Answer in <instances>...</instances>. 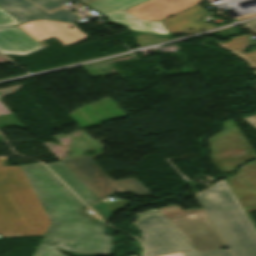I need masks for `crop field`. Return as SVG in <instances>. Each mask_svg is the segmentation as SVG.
Listing matches in <instances>:
<instances>
[{
  "instance_id": "obj_1",
  "label": "crop field",
  "mask_w": 256,
  "mask_h": 256,
  "mask_svg": "<svg viewBox=\"0 0 256 256\" xmlns=\"http://www.w3.org/2000/svg\"><path fill=\"white\" fill-rule=\"evenodd\" d=\"M30 181L51 225L33 256H65L57 246L84 254L110 255L111 236L104 223L85 207L43 164L20 166Z\"/></svg>"
},
{
  "instance_id": "obj_2",
  "label": "crop field",
  "mask_w": 256,
  "mask_h": 256,
  "mask_svg": "<svg viewBox=\"0 0 256 256\" xmlns=\"http://www.w3.org/2000/svg\"><path fill=\"white\" fill-rule=\"evenodd\" d=\"M50 223L22 169L0 167V234L45 235Z\"/></svg>"
},
{
  "instance_id": "obj_3",
  "label": "crop field",
  "mask_w": 256,
  "mask_h": 256,
  "mask_svg": "<svg viewBox=\"0 0 256 256\" xmlns=\"http://www.w3.org/2000/svg\"><path fill=\"white\" fill-rule=\"evenodd\" d=\"M198 198L233 254L256 256V230L224 179L198 194Z\"/></svg>"
},
{
  "instance_id": "obj_4",
  "label": "crop field",
  "mask_w": 256,
  "mask_h": 256,
  "mask_svg": "<svg viewBox=\"0 0 256 256\" xmlns=\"http://www.w3.org/2000/svg\"><path fill=\"white\" fill-rule=\"evenodd\" d=\"M158 211L198 252L225 245L203 208L182 211L175 205Z\"/></svg>"
},
{
  "instance_id": "obj_5",
  "label": "crop field",
  "mask_w": 256,
  "mask_h": 256,
  "mask_svg": "<svg viewBox=\"0 0 256 256\" xmlns=\"http://www.w3.org/2000/svg\"><path fill=\"white\" fill-rule=\"evenodd\" d=\"M99 200L117 192H129L136 196L151 193L136 179L114 181L88 156L62 162Z\"/></svg>"
},
{
  "instance_id": "obj_6",
  "label": "crop field",
  "mask_w": 256,
  "mask_h": 256,
  "mask_svg": "<svg viewBox=\"0 0 256 256\" xmlns=\"http://www.w3.org/2000/svg\"><path fill=\"white\" fill-rule=\"evenodd\" d=\"M135 216L133 223L141 230L145 256L194 249L156 209Z\"/></svg>"
},
{
  "instance_id": "obj_7",
  "label": "crop field",
  "mask_w": 256,
  "mask_h": 256,
  "mask_svg": "<svg viewBox=\"0 0 256 256\" xmlns=\"http://www.w3.org/2000/svg\"><path fill=\"white\" fill-rule=\"evenodd\" d=\"M223 126L222 133L209 138L210 157L219 172L233 171L248 160L256 159V153L232 120L224 122Z\"/></svg>"
},
{
  "instance_id": "obj_8",
  "label": "crop field",
  "mask_w": 256,
  "mask_h": 256,
  "mask_svg": "<svg viewBox=\"0 0 256 256\" xmlns=\"http://www.w3.org/2000/svg\"><path fill=\"white\" fill-rule=\"evenodd\" d=\"M140 1L142 0H92L87 6L101 12L106 18L116 24L128 26L130 30L175 36L167 31L161 21L145 23L122 10Z\"/></svg>"
},
{
  "instance_id": "obj_9",
  "label": "crop field",
  "mask_w": 256,
  "mask_h": 256,
  "mask_svg": "<svg viewBox=\"0 0 256 256\" xmlns=\"http://www.w3.org/2000/svg\"><path fill=\"white\" fill-rule=\"evenodd\" d=\"M19 27L37 41L55 37L66 46L88 37L75 24L70 23L37 20L19 25ZM70 27H73V29Z\"/></svg>"
},
{
  "instance_id": "obj_10",
  "label": "crop field",
  "mask_w": 256,
  "mask_h": 256,
  "mask_svg": "<svg viewBox=\"0 0 256 256\" xmlns=\"http://www.w3.org/2000/svg\"><path fill=\"white\" fill-rule=\"evenodd\" d=\"M201 1L203 0H144L124 10L148 22L161 20Z\"/></svg>"
},
{
  "instance_id": "obj_11",
  "label": "crop field",
  "mask_w": 256,
  "mask_h": 256,
  "mask_svg": "<svg viewBox=\"0 0 256 256\" xmlns=\"http://www.w3.org/2000/svg\"><path fill=\"white\" fill-rule=\"evenodd\" d=\"M0 6L14 15L21 23L36 19L75 23L80 18L66 9L46 13L26 0H0Z\"/></svg>"
},
{
  "instance_id": "obj_12",
  "label": "crop field",
  "mask_w": 256,
  "mask_h": 256,
  "mask_svg": "<svg viewBox=\"0 0 256 256\" xmlns=\"http://www.w3.org/2000/svg\"><path fill=\"white\" fill-rule=\"evenodd\" d=\"M225 181L245 212L256 210V161L247 164L236 176Z\"/></svg>"
},
{
  "instance_id": "obj_13",
  "label": "crop field",
  "mask_w": 256,
  "mask_h": 256,
  "mask_svg": "<svg viewBox=\"0 0 256 256\" xmlns=\"http://www.w3.org/2000/svg\"><path fill=\"white\" fill-rule=\"evenodd\" d=\"M49 46L37 42L17 26L0 29V52L2 54L25 55Z\"/></svg>"
},
{
  "instance_id": "obj_14",
  "label": "crop field",
  "mask_w": 256,
  "mask_h": 256,
  "mask_svg": "<svg viewBox=\"0 0 256 256\" xmlns=\"http://www.w3.org/2000/svg\"><path fill=\"white\" fill-rule=\"evenodd\" d=\"M203 9V8H202ZM199 5L163 20V24L173 33H192L214 26L202 21L199 17L206 13Z\"/></svg>"
},
{
  "instance_id": "obj_15",
  "label": "crop field",
  "mask_w": 256,
  "mask_h": 256,
  "mask_svg": "<svg viewBox=\"0 0 256 256\" xmlns=\"http://www.w3.org/2000/svg\"><path fill=\"white\" fill-rule=\"evenodd\" d=\"M58 175L87 205L98 199L62 164L47 165Z\"/></svg>"
},
{
  "instance_id": "obj_16",
  "label": "crop field",
  "mask_w": 256,
  "mask_h": 256,
  "mask_svg": "<svg viewBox=\"0 0 256 256\" xmlns=\"http://www.w3.org/2000/svg\"><path fill=\"white\" fill-rule=\"evenodd\" d=\"M230 49H233L244 57H246L256 69V51L251 53H243L244 47L256 45V41L252 40L248 35H241L231 38L230 42L222 44Z\"/></svg>"
},
{
  "instance_id": "obj_17",
  "label": "crop field",
  "mask_w": 256,
  "mask_h": 256,
  "mask_svg": "<svg viewBox=\"0 0 256 256\" xmlns=\"http://www.w3.org/2000/svg\"><path fill=\"white\" fill-rule=\"evenodd\" d=\"M31 2L37 4L47 11H52L54 9L60 8L65 3H72L76 0H30Z\"/></svg>"
},
{
  "instance_id": "obj_18",
  "label": "crop field",
  "mask_w": 256,
  "mask_h": 256,
  "mask_svg": "<svg viewBox=\"0 0 256 256\" xmlns=\"http://www.w3.org/2000/svg\"><path fill=\"white\" fill-rule=\"evenodd\" d=\"M184 256H232L229 250L219 249L214 251L198 253L196 250L183 252Z\"/></svg>"
},
{
  "instance_id": "obj_19",
  "label": "crop field",
  "mask_w": 256,
  "mask_h": 256,
  "mask_svg": "<svg viewBox=\"0 0 256 256\" xmlns=\"http://www.w3.org/2000/svg\"><path fill=\"white\" fill-rule=\"evenodd\" d=\"M96 214H98L102 220L110 219L112 213L100 202H96L89 206Z\"/></svg>"
},
{
  "instance_id": "obj_20",
  "label": "crop field",
  "mask_w": 256,
  "mask_h": 256,
  "mask_svg": "<svg viewBox=\"0 0 256 256\" xmlns=\"http://www.w3.org/2000/svg\"><path fill=\"white\" fill-rule=\"evenodd\" d=\"M135 37L140 47L169 39V38H155L151 35H138Z\"/></svg>"
},
{
  "instance_id": "obj_21",
  "label": "crop field",
  "mask_w": 256,
  "mask_h": 256,
  "mask_svg": "<svg viewBox=\"0 0 256 256\" xmlns=\"http://www.w3.org/2000/svg\"><path fill=\"white\" fill-rule=\"evenodd\" d=\"M112 213L119 211L126 207L129 203L127 200H115L113 202H104L103 203Z\"/></svg>"
},
{
  "instance_id": "obj_22",
  "label": "crop field",
  "mask_w": 256,
  "mask_h": 256,
  "mask_svg": "<svg viewBox=\"0 0 256 256\" xmlns=\"http://www.w3.org/2000/svg\"><path fill=\"white\" fill-rule=\"evenodd\" d=\"M19 23L0 8V27L18 25Z\"/></svg>"
},
{
  "instance_id": "obj_23",
  "label": "crop field",
  "mask_w": 256,
  "mask_h": 256,
  "mask_svg": "<svg viewBox=\"0 0 256 256\" xmlns=\"http://www.w3.org/2000/svg\"><path fill=\"white\" fill-rule=\"evenodd\" d=\"M248 30L256 34V21L243 24Z\"/></svg>"
},
{
  "instance_id": "obj_24",
  "label": "crop field",
  "mask_w": 256,
  "mask_h": 256,
  "mask_svg": "<svg viewBox=\"0 0 256 256\" xmlns=\"http://www.w3.org/2000/svg\"><path fill=\"white\" fill-rule=\"evenodd\" d=\"M243 120H245L247 123H249L252 127L256 129V115L243 118Z\"/></svg>"
},
{
  "instance_id": "obj_25",
  "label": "crop field",
  "mask_w": 256,
  "mask_h": 256,
  "mask_svg": "<svg viewBox=\"0 0 256 256\" xmlns=\"http://www.w3.org/2000/svg\"><path fill=\"white\" fill-rule=\"evenodd\" d=\"M163 256H183L182 252L179 253H173V254H168V255H163Z\"/></svg>"
},
{
  "instance_id": "obj_26",
  "label": "crop field",
  "mask_w": 256,
  "mask_h": 256,
  "mask_svg": "<svg viewBox=\"0 0 256 256\" xmlns=\"http://www.w3.org/2000/svg\"><path fill=\"white\" fill-rule=\"evenodd\" d=\"M247 215H248V217H249L251 223L253 224V226H254L255 229H256V223H255L254 220L252 219V217H251V215L249 214V212H247Z\"/></svg>"
},
{
  "instance_id": "obj_27",
  "label": "crop field",
  "mask_w": 256,
  "mask_h": 256,
  "mask_svg": "<svg viewBox=\"0 0 256 256\" xmlns=\"http://www.w3.org/2000/svg\"><path fill=\"white\" fill-rule=\"evenodd\" d=\"M3 164V158H0V166Z\"/></svg>"
},
{
  "instance_id": "obj_28",
  "label": "crop field",
  "mask_w": 256,
  "mask_h": 256,
  "mask_svg": "<svg viewBox=\"0 0 256 256\" xmlns=\"http://www.w3.org/2000/svg\"><path fill=\"white\" fill-rule=\"evenodd\" d=\"M79 1H81V2H83V3H84V2H86V1H88V0H79Z\"/></svg>"
},
{
  "instance_id": "obj_29",
  "label": "crop field",
  "mask_w": 256,
  "mask_h": 256,
  "mask_svg": "<svg viewBox=\"0 0 256 256\" xmlns=\"http://www.w3.org/2000/svg\"><path fill=\"white\" fill-rule=\"evenodd\" d=\"M255 75H256V71L255 72H253Z\"/></svg>"
}]
</instances>
